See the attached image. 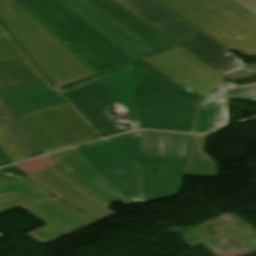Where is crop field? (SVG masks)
<instances>
[{"label": "crop field", "mask_w": 256, "mask_h": 256, "mask_svg": "<svg viewBox=\"0 0 256 256\" xmlns=\"http://www.w3.org/2000/svg\"><path fill=\"white\" fill-rule=\"evenodd\" d=\"M16 1L95 73L136 60L61 0Z\"/></svg>", "instance_id": "8a807250"}, {"label": "crop field", "mask_w": 256, "mask_h": 256, "mask_svg": "<svg viewBox=\"0 0 256 256\" xmlns=\"http://www.w3.org/2000/svg\"><path fill=\"white\" fill-rule=\"evenodd\" d=\"M0 23L54 87L94 74L15 0H0Z\"/></svg>", "instance_id": "ac0d7876"}, {"label": "crop field", "mask_w": 256, "mask_h": 256, "mask_svg": "<svg viewBox=\"0 0 256 256\" xmlns=\"http://www.w3.org/2000/svg\"><path fill=\"white\" fill-rule=\"evenodd\" d=\"M155 1L224 48L256 57V15L234 0Z\"/></svg>", "instance_id": "34b2d1b8"}, {"label": "crop field", "mask_w": 256, "mask_h": 256, "mask_svg": "<svg viewBox=\"0 0 256 256\" xmlns=\"http://www.w3.org/2000/svg\"><path fill=\"white\" fill-rule=\"evenodd\" d=\"M133 69L140 96L141 128L191 132L196 106L203 95L187 93L142 61L134 63Z\"/></svg>", "instance_id": "412701ff"}, {"label": "crop field", "mask_w": 256, "mask_h": 256, "mask_svg": "<svg viewBox=\"0 0 256 256\" xmlns=\"http://www.w3.org/2000/svg\"><path fill=\"white\" fill-rule=\"evenodd\" d=\"M224 76L244 64L226 49L170 13L153 0H115ZM229 54V56H225Z\"/></svg>", "instance_id": "f4fd0767"}, {"label": "crop field", "mask_w": 256, "mask_h": 256, "mask_svg": "<svg viewBox=\"0 0 256 256\" xmlns=\"http://www.w3.org/2000/svg\"><path fill=\"white\" fill-rule=\"evenodd\" d=\"M79 152L135 204L144 203L139 131L96 142Z\"/></svg>", "instance_id": "dd49c442"}, {"label": "crop field", "mask_w": 256, "mask_h": 256, "mask_svg": "<svg viewBox=\"0 0 256 256\" xmlns=\"http://www.w3.org/2000/svg\"><path fill=\"white\" fill-rule=\"evenodd\" d=\"M75 112L64 103L17 118L48 154L100 139Z\"/></svg>", "instance_id": "e52e79f7"}, {"label": "crop field", "mask_w": 256, "mask_h": 256, "mask_svg": "<svg viewBox=\"0 0 256 256\" xmlns=\"http://www.w3.org/2000/svg\"><path fill=\"white\" fill-rule=\"evenodd\" d=\"M195 57L178 46L142 61L175 83L185 82L205 96L226 77Z\"/></svg>", "instance_id": "d8731c3e"}, {"label": "crop field", "mask_w": 256, "mask_h": 256, "mask_svg": "<svg viewBox=\"0 0 256 256\" xmlns=\"http://www.w3.org/2000/svg\"><path fill=\"white\" fill-rule=\"evenodd\" d=\"M60 92L102 137L130 130L129 126L115 124L111 91L97 77L60 89ZM107 105L108 113L105 112Z\"/></svg>", "instance_id": "5a996713"}, {"label": "crop field", "mask_w": 256, "mask_h": 256, "mask_svg": "<svg viewBox=\"0 0 256 256\" xmlns=\"http://www.w3.org/2000/svg\"><path fill=\"white\" fill-rule=\"evenodd\" d=\"M22 208L46 224L44 227L24 233L41 245L49 244L96 223L53 196Z\"/></svg>", "instance_id": "3316defc"}, {"label": "crop field", "mask_w": 256, "mask_h": 256, "mask_svg": "<svg viewBox=\"0 0 256 256\" xmlns=\"http://www.w3.org/2000/svg\"><path fill=\"white\" fill-rule=\"evenodd\" d=\"M26 178L97 222L108 213L103 204L54 163Z\"/></svg>", "instance_id": "28ad6ade"}, {"label": "crop field", "mask_w": 256, "mask_h": 256, "mask_svg": "<svg viewBox=\"0 0 256 256\" xmlns=\"http://www.w3.org/2000/svg\"><path fill=\"white\" fill-rule=\"evenodd\" d=\"M137 59L159 53L88 0H62Z\"/></svg>", "instance_id": "d1516ede"}, {"label": "crop field", "mask_w": 256, "mask_h": 256, "mask_svg": "<svg viewBox=\"0 0 256 256\" xmlns=\"http://www.w3.org/2000/svg\"><path fill=\"white\" fill-rule=\"evenodd\" d=\"M192 137L193 135L190 137L185 160L143 161L147 201L178 195L186 170Z\"/></svg>", "instance_id": "22f410ed"}, {"label": "crop field", "mask_w": 256, "mask_h": 256, "mask_svg": "<svg viewBox=\"0 0 256 256\" xmlns=\"http://www.w3.org/2000/svg\"><path fill=\"white\" fill-rule=\"evenodd\" d=\"M62 160L79 171L71 177L106 207L118 200L126 206L133 204L121 190L78 151Z\"/></svg>", "instance_id": "cbeb9de0"}, {"label": "crop field", "mask_w": 256, "mask_h": 256, "mask_svg": "<svg viewBox=\"0 0 256 256\" xmlns=\"http://www.w3.org/2000/svg\"><path fill=\"white\" fill-rule=\"evenodd\" d=\"M23 58L27 57L0 26V63ZM34 66L28 58L0 65V89L45 79Z\"/></svg>", "instance_id": "5142ce71"}, {"label": "crop field", "mask_w": 256, "mask_h": 256, "mask_svg": "<svg viewBox=\"0 0 256 256\" xmlns=\"http://www.w3.org/2000/svg\"><path fill=\"white\" fill-rule=\"evenodd\" d=\"M0 96L15 116L65 102L45 80L1 90Z\"/></svg>", "instance_id": "d9b57169"}, {"label": "crop field", "mask_w": 256, "mask_h": 256, "mask_svg": "<svg viewBox=\"0 0 256 256\" xmlns=\"http://www.w3.org/2000/svg\"><path fill=\"white\" fill-rule=\"evenodd\" d=\"M215 96L256 101L243 89L230 82L223 81L200 102L194 133H207L226 125L225 102H216Z\"/></svg>", "instance_id": "733c2abd"}, {"label": "crop field", "mask_w": 256, "mask_h": 256, "mask_svg": "<svg viewBox=\"0 0 256 256\" xmlns=\"http://www.w3.org/2000/svg\"><path fill=\"white\" fill-rule=\"evenodd\" d=\"M128 30L162 52L178 46L113 0H89Z\"/></svg>", "instance_id": "4a817a6b"}, {"label": "crop field", "mask_w": 256, "mask_h": 256, "mask_svg": "<svg viewBox=\"0 0 256 256\" xmlns=\"http://www.w3.org/2000/svg\"><path fill=\"white\" fill-rule=\"evenodd\" d=\"M189 136L142 131L143 159H184Z\"/></svg>", "instance_id": "bc2a9ffb"}, {"label": "crop field", "mask_w": 256, "mask_h": 256, "mask_svg": "<svg viewBox=\"0 0 256 256\" xmlns=\"http://www.w3.org/2000/svg\"><path fill=\"white\" fill-rule=\"evenodd\" d=\"M98 78L113 91L115 104L125 107L131 123L134 126L139 125L132 64L98 76Z\"/></svg>", "instance_id": "214f88e0"}, {"label": "crop field", "mask_w": 256, "mask_h": 256, "mask_svg": "<svg viewBox=\"0 0 256 256\" xmlns=\"http://www.w3.org/2000/svg\"><path fill=\"white\" fill-rule=\"evenodd\" d=\"M51 196L26 179L0 187V214Z\"/></svg>", "instance_id": "92a150f3"}, {"label": "crop field", "mask_w": 256, "mask_h": 256, "mask_svg": "<svg viewBox=\"0 0 256 256\" xmlns=\"http://www.w3.org/2000/svg\"><path fill=\"white\" fill-rule=\"evenodd\" d=\"M6 117L7 119H3ZM0 124L9 133L26 156L34 158L44 155V151L31 135L24 129L18 119L13 115L4 101L0 98Z\"/></svg>", "instance_id": "dafd665d"}, {"label": "crop field", "mask_w": 256, "mask_h": 256, "mask_svg": "<svg viewBox=\"0 0 256 256\" xmlns=\"http://www.w3.org/2000/svg\"><path fill=\"white\" fill-rule=\"evenodd\" d=\"M207 135H194L185 176L216 177V163L203 151Z\"/></svg>", "instance_id": "00972430"}, {"label": "crop field", "mask_w": 256, "mask_h": 256, "mask_svg": "<svg viewBox=\"0 0 256 256\" xmlns=\"http://www.w3.org/2000/svg\"><path fill=\"white\" fill-rule=\"evenodd\" d=\"M0 148L4 151V153L7 155V157L11 160L12 163L27 158L1 125Z\"/></svg>", "instance_id": "a9b5d70f"}, {"label": "crop field", "mask_w": 256, "mask_h": 256, "mask_svg": "<svg viewBox=\"0 0 256 256\" xmlns=\"http://www.w3.org/2000/svg\"><path fill=\"white\" fill-rule=\"evenodd\" d=\"M50 164L52 163L49 159L42 157V158L26 161V162L15 164V165L30 175Z\"/></svg>", "instance_id": "4177f3b9"}, {"label": "crop field", "mask_w": 256, "mask_h": 256, "mask_svg": "<svg viewBox=\"0 0 256 256\" xmlns=\"http://www.w3.org/2000/svg\"><path fill=\"white\" fill-rule=\"evenodd\" d=\"M77 150H79V149L76 148V149H72V150H68V151L48 155V157H50L55 162V164H57L60 168H62L66 173L71 175V174H73L77 171L74 168H72L71 166H69L68 164H66L64 161H62L61 159L68 156L69 154L77 151Z\"/></svg>", "instance_id": "730fd06b"}, {"label": "crop field", "mask_w": 256, "mask_h": 256, "mask_svg": "<svg viewBox=\"0 0 256 256\" xmlns=\"http://www.w3.org/2000/svg\"><path fill=\"white\" fill-rule=\"evenodd\" d=\"M22 177L0 171V186L18 180Z\"/></svg>", "instance_id": "eef30255"}, {"label": "crop field", "mask_w": 256, "mask_h": 256, "mask_svg": "<svg viewBox=\"0 0 256 256\" xmlns=\"http://www.w3.org/2000/svg\"><path fill=\"white\" fill-rule=\"evenodd\" d=\"M256 14V0H236Z\"/></svg>", "instance_id": "ae1a2a85"}, {"label": "crop field", "mask_w": 256, "mask_h": 256, "mask_svg": "<svg viewBox=\"0 0 256 256\" xmlns=\"http://www.w3.org/2000/svg\"><path fill=\"white\" fill-rule=\"evenodd\" d=\"M0 170L15 173V174H19V175L24 176V177L28 176L26 173H24L23 171H21L19 168H17L14 165L11 166V167H8V168L0 169Z\"/></svg>", "instance_id": "d3111659"}, {"label": "crop field", "mask_w": 256, "mask_h": 256, "mask_svg": "<svg viewBox=\"0 0 256 256\" xmlns=\"http://www.w3.org/2000/svg\"><path fill=\"white\" fill-rule=\"evenodd\" d=\"M256 98V84L240 86Z\"/></svg>", "instance_id": "750c4746"}, {"label": "crop field", "mask_w": 256, "mask_h": 256, "mask_svg": "<svg viewBox=\"0 0 256 256\" xmlns=\"http://www.w3.org/2000/svg\"><path fill=\"white\" fill-rule=\"evenodd\" d=\"M8 164H11L10 160L6 157V155L0 149V167Z\"/></svg>", "instance_id": "bd1437ed"}, {"label": "crop field", "mask_w": 256, "mask_h": 256, "mask_svg": "<svg viewBox=\"0 0 256 256\" xmlns=\"http://www.w3.org/2000/svg\"><path fill=\"white\" fill-rule=\"evenodd\" d=\"M217 101L218 100H224L226 101V122L228 123V119H227V110H228V104H227V99H221L220 97H216Z\"/></svg>", "instance_id": "1d83c4d3"}, {"label": "crop field", "mask_w": 256, "mask_h": 256, "mask_svg": "<svg viewBox=\"0 0 256 256\" xmlns=\"http://www.w3.org/2000/svg\"><path fill=\"white\" fill-rule=\"evenodd\" d=\"M3 237V235L0 233V238Z\"/></svg>", "instance_id": "120bbe31"}]
</instances>
